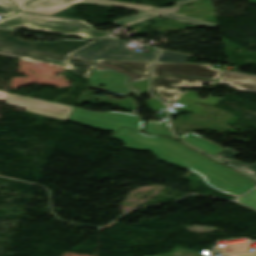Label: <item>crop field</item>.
<instances>
[{"label": "crop field", "mask_w": 256, "mask_h": 256, "mask_svg": "<svg viewBox=\"0 0 256 256\" xmlns=\"http://www.w3.org/2000/svg\"><path fill=\"white\" fill-rule=\"evenodd\" d=\"M113 137L122 140L125 148L151 151L158 159L185 169L193 170L208 159L171 139L146 136L125 127Z\"/></svg>", "instance_id": "obj_1"}, {"label": "crop field", "mask_w": 256, "mask_h": 256, "mask_svg": "<svg viewBox=\"0 0 256 256\" xmlns=\"http://www.w3.org/2000/svg\"><path fill=\"white\" fill-rule=\"evenodd\" d=\"M18 27H27V29L34 31L79 35L86 39L109 36L108 33L95 31L83 21L22 11H18L17 14L0 21V28L14 29Z\"/></svg>", "instance_id": "obj_2"}, {"label": "crop field", "mask_w": 256, "mask_h": 256, "mask_svg": "<svg viewBox=\"0 0 256 256\" xmlns=\"http://www.w3.org/2000/svg\"><path fill=\"white\" fill-rule=\"evenodd\" d=\"M127 41L118 38H101L94 43L72 53L69 57L95 63L97 59H124L152 61L159 53L154 49L149 55L130 51L126 47Z\"/></svg>", "instance_id": "obj_3"}, {"label": "crop field", "mask_w": 256, "mask_h": 256, "mask_svg": "<svg viewBox=\"0 0 256 256\" xmlns=\"http://www.w3.org/2000/svg\"><path fill=\"white\" fill-rule=\"evenodd\" d=\"M195 171L206 178L208 185L235 197L256 186V183L248 178L210 159Z\"/></svg>", "instance_id": "obj_4"}, {"label": "crop field", "mask_w": 256, "mask_h": 256, "mask_svg": "<svg viewBox=\"0 0 256 256\" xmlns=\"http://www.w3.org/2000/svg\"><path fill=\"white\" fill-rule=\"evenodd\" d=\"M69 121L90 127L116 132L122 126L140 131L143 118L127 113H98L74 107Z\"/></svg>", "instance_id": "obj_5"}, {"label": "crop field", "mask_w": 256, "mask_h": 256, "mask_svg": "<svg viewBox=\"0 0 256 256\" xmlns=\"http://www.w3.org/2000/svg\"><path fill=\"white\" fill-rule=\"evenodd\" d=\"M15 2L19 10L42 13L53 15L60 11H63L76 3H93V4H101L137 11H145L148 9H152L155 7L151 6H143L136 4H128V3H120L113 1H105V0H11Z\"/></svg>", "instance_id": "obj_6"}, {"label": "crop field", "mask_w": 256, "mask_h": 256, "mask_svg": "<svg viewBox=\"0 0 256 256\" xmlns=\"http://www.w3.org/2000/svg\"><path fill=\"white\" fill-rule=\"evenodd\" d=\"M0 55L23 59L30 62H45L67 68L76 74L88 78L94 65L78 61L68 60L44 53L17 49L5 45H0Z\"/></svg>", "instance_id": "obj_7"}, {"label": "crop field", "mask_w": 256, "mask_h": 256, "mask_svg": "<svg viewBox=\"0 0 256 256\" xmlns=\"http://www.w3.org/2000/svg\"><path fill=\"white\" fill-rule=\"evenodd\" d=\"M6 104L20 107L33 114L67 120L73 107L8 93Z\"/></svg>", "instance_id": "obj_8"}, {"label": "crop field", "mask_w": 256, "mask_h": 256, "mask_svg": "<svg viewBox=\"0 0 256 256\" xmlns=\"http://www.w3.org/2000/svg\"><path fill=\"white\" fill-rule=\"evenodd\" d=\"M221 70L212 69L211 64H179L156 62L153 78L162 75L190 76L216 80Z\"/></svg>", "instance_id": "obj_9"}, {"label": "crop field", "mask_w": 256, "mask_h": 256, "mask_svg": "<svg viewBox=\"0 0 256 256\" xmlns=\"http://www.w3.org/2000/svg\"><path fill=\"white\" fill-rule=\"evenodd\" d=\"M12 31L0 30V43L17 45L26 48H33L61 56L67 57L68 54L91 41H61V42H26L16 37L10 36Z\"/></svg>", "instance_id": "obj_10"}, {"label": "crop field", "mask_w": 256, "mask_h": 256, "mask_svg": "<svg viewBox=\"0 0 256 256\" xmlns=\"http://www.w3.org/2000/svg\"><path fill=\"white\" fill-rule=\"evenodd\" d=\"M90 86L95 89L115 93L122 96L130 95L131 93L126 88L127 76L113 69L95 65L89 78ZM100 83L105 84L104 88L98 87Z\"/></svg>", "instance_id": "obj_11"}, {"label": "crop field", "mask_w": 256, "mask_h": 256, "mask_svg": "<svg viewBox=\"0 0 256 256\" xmlns=\"http://www.w3.org/2000/svg\"><path fill=\"white\" fill-rule=\"evenodd\" d=\"M216 81L190 77H162L154 79L151 89L158 93L160 99L175 101L183 93L179 87L203 86L202 83L214 85Z\"/></svg>", "instance_id": "obj_12"}, {"label": "crop field", "mask_w": 256, "mask_h": 256, "mask_svg": "<svg viewBox=\"0 0 256 256\" xmlns=\"http://www.w3.org/2000/svg\"><path fill=\"white\" fill-rule=\"evenodd\" d=\"M193 1H196V0L178 1V2H175V4L177 6L164 7V8H155V9L148 10V11L130 16L128 18H125V19H122V20H119V21H116V22H113V23L116 24V25H122L124 23H128V25H131V24H134V23H137V22H140V21L158 16V15H161V16H165V17H168V18L183 21V22L190 23V24L197 25V26L214 28L216 26V24L175 13L181 5L186 4V3H190V2H193Z\"/></svg>", "instance_id": "obj_13"}, {"label": "crop field", "mask_w": 256, "mask_h": 256, "mask_svg": "<svg viewBox=\"0 0 256 256\" xmlns=\"http://www.w3.org/2000/svg\"><path fill=\"white\" fill-rule=\"evenodd\" d=\"M96 64L115 68L131 76V82L149 79L151 62L123 61V60H97Z\"/></svg>", "instance_id": "obj_14"}, {"label": "crop field", "mask_w": 256, "mask_h": 256, "mask_svg": "<svg viewBox=\"0 0 256 256\" xmlns=\"http://www.w3.org/2000/svg\"><path fill=\"white\" fill-rule=\"evenodd\" d=\"M238 91L256 93V76L223 70L219 83Z\"/></svg>", "instance_id": "obj_15"}, {"label": "crop field", "mask_w": 256, "mask_h": 256, "mask_svg": "<svg viewBox=\"0 0 256 256\" xmlns=\"http://www.w3.org/2000/svg\"><path fill=\"white\" fill-rule=\"evenodd\" d=\"M221 99L209 96L205 100L198 99L196 93L187 92L178 102L185 104L180 110L200 114L202 108L196 105L198 102L215 105Z\"/></svg>", "instance_id": "obj_16"}, {"label": "crop field", "mask_w": 256, "mask_h": 256, "mask_svg": "<svg viewBox=\"0 0 256 256\" xmlns=\"http://www.w3.org/2000/svg\"><path fill=\"white\" fill-rule=\"evenodd\" d=\"M182 140L186 141L190 145L214 156L220 151H222L224 148L190 132L182 137H180Z\"/></svg>", "instance_id": "obj_17"}, {"label": "crop field", "mask_w": 256, "mask_h": 256, "mask_svg": "<svg viewBox=\"0 0 256 256\" xmlns=\"http://www.w3.org/2000/svg\"><path fill=\"white\" fill-rule=\"evenodd\" d=\"M238 154L239 153H237L236 151H234L228 147L225 150H223L222 152H220L219 154H217L215 157H217V158H219V159L256 177V163L249 165V164H246V163H243V162L233 159Z\"/></svg>", "instance_id": "obj_18"}, {"label": "crop field", "mask_w": 256, "mask_h": 256, "mask_svg": "<svg viewBox=\"0 0 256 256\" xmlns=\"http://www.w3.org/2000/svg\"><path fill=\"white\" fill-rule=\"evenodd\" d=\"M145 131L148 134L169 135V136L177 139L170 133L168 123H166V122H147L146 126H145Z\"/></svg>", "instance_id": "obj_19"}, {"label": "crop field", "mask_w": 256, "mask_h": 256, "mask_svg": "<svg viewBox=\"0 0 256 256\" xmlns=\"http://www.w3.org/2000/svg\"><path fill=\"white\" fill-rule=\"evenodd\" d=\"M190 58V55L163 51L162 55L156 61L187 63Z\"/></svg>", "instance_id": "obj_20"}, {"label": "crop field", "mask_w": 256, "mask_h": 256, "mask_svg": "<svg viewBox=\"0 0 256 256\" xmlns=\"http://www.w3.org/2000/svg\"><path fill=\"white\" fill-rule=\"evenodd\" d=\"M17 7L9 0H0V15L6 17L16 13Z\"/></svg>", "instance_id": "obj_21"}, {"label": "crop field", "mask_w": 256, "mask_h": 256, "mask_svg": "<svg viewBox=\"0 0 256 256\" xmlns=\"http://www.w3.org/2000/svg\"><path fill=\"white\" fill-rule=\"evenodd\" d=\"M252 244L253 243H244V244H238V245H232V246H225L217 249H220L225 254H229V253L248 251L249 246Z\"/></svg>", "instance_id": "obj_22"}, {"label": "crop field", "mask_w": 256, "mask_h": 256, "mask_svg": "<svg viewBox=\"0 0 256 256\" xmlns=\"http://www.w3.org/2000/svg\"><path fill=\"white\" fill-rule=\"evenodd\" d=\"M239 202L256 209V189L245 195L244 197L240 198Z\"/></svg>", "instance_id": "obj_23"}, {"label": "crop field", "mask_w": 256, "mask_h": 256, "mask_svg": "<svg viewBox=\"0 0 256 256\" xmlns=\"http://www.w3.org/2000/svg\"><path fill=\"white\" fill-rule=\"evenodd\" d=\"M147 86H148V81L136 82V83H131L130 84V87L134 90V92L138 96H141V95L147 93Z\"/></svg>", "instance_id": "obj_24"}, {"label": "crop field", "mask_w": 256, "mask_h": 256, "mask_svg": "<svg viewBox=\"0 0 256 256\" xmlns=\"http://www.w3.org/2000/svg\"><path fill=\"white\" fill-rule=\"evenodd\" d=\"M144 103L151 109H157V108L163 107V105L160 104L161 102L156 99L147 100V101H144Z\"/></svg>", "instance_id": "obj_25"}, {"label": "crop field", "mask_w": 256, "mask_h": 256, "mask_svg": "<svg viewBox=\"0 0 256 256\" xmlns=\"http://www.w3.org/2000/svg\"><path fill=\"white\" fill-rule=\"evenodd\" d=\"M230 256H256V252L253 253H240V254H234Z\"/></svg>", "instance_id": "obj_26"}, {"label": "crop field", "mask_w": 256, "mask_h": 256, "mask_svg": "<svg viewBox=\"0 0 256 256\" xmlns=\"http://www.w3.org/2000/svg\"><path fill=\"white\" fill-rule=\"evenodd\" d=\"M6 95H7V92H2V91H0V99H1V100H4L5 97H6Z\"/></svg>", "instance_id": "obj_27"}, {"label": "crop field", "mask_w": 256, "mask_h": 256, "mask_svg": "<svg viewBox=\"0 0 256 256\" xmlns=\"http://www.w3.org/2000/svg\"><path fill=\"white\" fill-rule=\"evenodd\" d=\"M194 171V170H193ZM206 182V181H205Z\"/></svg>", "instance_id": "obj_28"}]
</instances>
